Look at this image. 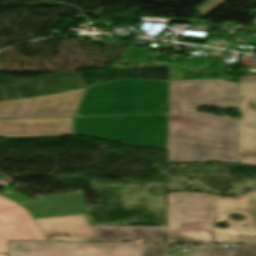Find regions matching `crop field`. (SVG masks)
I'll use <instances>...</instances> for the list:
<instances>
[{"instance_id":"crop-field-16","label":"crop field","mask_w":256,"mask_h":256,"mask_svg":"<svg viewBox=\"0 0 256 256\" xmlns=\"http://www.w3.org/2000/svg\"><path fill=\"white\" fill-rule=\"evenodd\" d=\"M0 256H6V255H2V254H0Z\"/></svg>"},{"instance_id":"crop-field-6","label":"crop field","mask_w":256,"mask_h":256,"mask_svg":"<svg viewBox=\"0 0 256 256\" xmlns=\"http://www.w3.org/2000/svg\"><path fill=\"white\" fill-rule=\"evenodd\" d=\"M84 89L57 95L0 102V118L73 116Z\"/></svg>"},{"instance_id":"crop-field-1","label":"crop field","mask_w":256,"mask_h":256,"mask_svg":"<svg viewBox=\"0 0 256 256\" xmlns=\"http://www.w3.org/2000/svg\"><path fill=\"white\" fill-rule=\"evenodd\" d=\"M198 106L237 108V84L170 81L168 162H238L237 120L195 112Z\"/></svg>"},{"instance_id":"crop-field-7","label":"crop field","mask_w":256,"mask_h":256,"mask_svg":"<svg viewBox=\"0 0 256 256\" xmlns=\"http://www.w3.org/2000/svg\"><path fill=\"white\" fill-rule=\"evenodd\" d=\"M238 109L242 118L238 120L239 163L256 166V80L244 76L238 84Z\"/></svg>"},{"instance_id":"crop-field-10","label":"crop field","mask_w":256,"mask_h":256,"mask_svg":"<svg viewBox=\"0 0 256 256\" xmlns=\"http://www.w3.org/2000/svg\"><path fill=\"white\" fill-rule=\"evenodd\" d=\"M36 222L51 241H100L83 215L39 219Z\"/></svg>"},{"instance_id":"crop-field-5","label":"crop field","mask_w":256,"mask_h":256,"mask_svg":"<svg viewBox=\"0 0 256 256\" xmlns=\"http://www.w3.org/2000/svg\"><path fill=\"white\" fill-rule=\"evenodd\" d=\"M145 244L9 241V256H141Z\"/></svg>"},{"instance_id":"crop-field-4","label":"crop field","mask_w":256,"mask_h":256,"mask_svg":"<svg viewBox=\"0 0 256 256\" xmlns=\"http://www.w3.org/2000/svg\"><path fill=\"white\" fill-rule=\"evenodd\" d=\"M168 115L74 117L73 134L167 149Z\"/></svg>"},{"instance_id":"crop-field-3","label":"crop field","mask_w":256,"mask_h":256,"mask_svg":"<svg viewBox=\"0 0 256 256\" xmlns=\"http://www.w3.org/2000/svg\"><path fill=\"white\" fill-rule=\"evenodd\" d=\"M169 81L121 80L85 89L74 116L168 114Z\"/></svg>"},{"instance_id":"crop-field-15","label":"crop field","mask_w":256,"mask_h":256,"mask_svg":"<svg viewBox=\"0 0 256 256\" xmlns=\"http://www.w3.org/2000/svg\"><path fill=\"white\" fill-rule=\"evenodd\" d=\"M240 64L246 65V66H249V67L252 65V63H249V62H246V61H243V60H241Z\"/></svg>"},{"instance_id":"crop-field-11","label":"crop field","mask_w":256,"mask_h":256,"mask_svg":"<svg viewBox=\"0 0 256 256\" xmlns=\"http://www.w3.org/2000/svg\"><path fill=\"white\" fill-rule=\"evenodd\" d=\"M170 245L146 244L142 256H172L167 255ZM189 253L181 256H256V244L240 246L235 249L222 246H195L189 245Z\"/></svg>"},{"instance_id":"crop-field-14","label":"crop field","mask_w":256,"mask_h":256,"mask_svg":"<svg viewBox=\"0 0 256 256\" xmlns=\"http://www.w3.org/2000/svg\"><path fill=\"white\" fill-rule=\"evenodd\" d=\"M245 42L256 44V37H248V39Z\"/></svg>"},{"instance_id":"crop-field-2","label":"crop field","mask_w":256,"mask_h":256,"mask_svg":"<svg viewBox=\"0 0 256 256\" xmlns=\"http://www.w3.org/2000/svg\"><path fill=\"white\" fill-rule=\"evenodd\" d=\"M243 214L232 221L229 214ZM227 222L228 229H218ZM168 242L256 243V189L238 197L223 198L202 193H169Z\"/></svg>"},{"instance_id":"crop-field-12","label":"crop field","mask_w":256,"mask_h":256,"mask_svg":"<svg viewBox=\"0 0 256 256\" xmlns=\"http://www.w3.org/2000/svg\"><path fill=\"white\" fill-rule=\"evenodd\" d=\"M224 1L225 0H208L207 2H205L204 4L199 6L198 9L200 10V12L203 15H205L208 12H210L212 9H214L215 7H217L218 5L223 3ZM254 22H255V25H256V20Z\"/></svg>"},{"instance_id":"crop-field-9","label":"crop field","mask_w":256,"mask_h":256,"mask_svg":"<svg viewBox=\"0 0 256 256\" xmlns=\"http://www.w3.org/2000/svg\"><path fill=\"white\" fill-rule=\"evenodd\" d=\"M9 240H46L18 205L0 197V252L7 253Z\"/></svg>"},{"instance_id":"crop-field-13","label":"crop field","mask_w":256,"mask_h":256,"mask_svg":"<svg viewBox=\"0 0 256 256\" xmlns=\"http://www.w3.org/2000/svg\"><path fill=\"white\" fill-rule=\"evenodd\" d=\"M242 59L254 63V64L252 65V68H256V59L250 58V57H248V56H243Z\"/></svg>"},{"instance_id":"crop-field-8","label":"crop field","mask_w":256,"mask_h":256,"mask_svg":"<svg viewBox=\"0 0 256 256\" xmlns=\"http://www.w3.org/2000/svg\"><path fill=\"white\" fill-rule=\"evenodd\" d=\"M73 118L0 120V138H38L72 134Z\"/></svg>"}]
</instances>
